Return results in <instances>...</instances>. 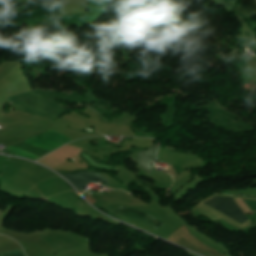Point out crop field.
Wrapping results in <instances>:
<instances>
[{
    "mask_svg": "<svg viewBox=\"0 0 256 256\" xmlns=\"http://www.w3.org/2000/svg\"><path fill=\"white\" fill-rule=\"evenodd\" d=\"M67 180L74 184L78 189H82L88 182H102L107 186V180L104 176L93 172H77L73 174H63ZM99 184V182H98Z\"/></svg>",
    "mask_w": 256,
    "mask_h": 256,
    "instance_id": "4",
    "label": "crop field"
},
{
    "mask_svg": "<svg viewBox=\"0 0 256 256\" xmlns=\"http://www.w3.org/2000/svg\"><path fill=\"white\" fill-rule=\"evenodd\" d=\"M112 212L114 213H118V214H122V215H126L129 217H133L136 219H140L146 223H148L149 225L153 226V227H158L160 226L162 223L158 222L157 220H155L154 218H152L151 216L135 211V210H131V209H127V208H122L119 207L115 210H113Z\"/></svg>",
    "mask_w": 256,
    "mask_h": 256,
    "instance_id": "5",
    "label": "crop field"
},
{
    "mask_svg": "<svg viewBox=\"0 0 256 256\" xmlns=\"http://www.w3.org/2000/svg\"><path fill=\"white\" fill-rule=\"evenodd\" d=\"M204 204L240 224L247 219L233 197H215Z\"/></svg>",
    "mask_w": 256,
    "mask_h": 256,
    "instance_id": "2",
    "label": "crop field"
},
{
    "mask_svg": "<svg viewBox=\"0 0 256 256\" xmlns=\"http://www.w3.org/2000/svg\"><path fill=\"white\" fill-rule=\"evenodd\" d=\"M12 106L16 110L40 116L55 121L64 109L46 101L45 99L29 92L26 94L8 97Z\"/></svg>",
    "mask_w": 256,
    "mask_h": 256,
    "instance_id": "1",
    "label": "crop field"
},
{
    "mask_svg": "<svg viewBox=\"0 0 256 256\" xmlns=\"http://www.w3.org/2000/svg\"><path fill=\"white\" fill-rule=\"evenodd\" d=\"M7 150H9L10 152H12L13 154H15L17 156L25 157V158H28L33 161L39 159V157H37V156H34L32 154H29L27 152H24L22 150L12 147V146H8Z\"/></svg>",
    "mask_w": 256,
    "mask_h": 256,
    "instance_id": "7",
    "label": "crop field"
},
{
    "mask_svg": "<svg viewBox=\"0 0 256 256\" xmlns=\"http://www.w3.org/2000/svg\"><path fill=\"white\" fill-rule=\"evenodd\" d=\"M157 148L152 146L148 150L138 153L139 167L144 171H151V163L155 161Z\"/></svg>",
    "mask_w": 256,
    "mask_h": 256,
    "instance_id": "6",
    "label": "crop field"
},
{
    "mask_svg": "<svg viewBox=\"0 0 256 256\" xmlns=\"http://www.w3.org/2000/svg\"><path fill=\"white\" fill-rule=\"evenodd\" d=\"M0 256H22L18 250L7 252V253H1Z\"/></svg>",
    "mask_w": 256,
    "mask_h": 256,
    "instance_id": "8",
    "label": "crop field"
},
{
    "mask_svg": "<svg viewBox=\"0 0 256 256\" xmlns=\"http://www.w3.org/2000/svg\"><path fill=\"white\" fill-rule=\"evenodd\" d=\"M38 137H42V139H40V140L45 141L47 143H50L52 145H55L57 147H60L61 145L65 144L69 141H72V140L68 139L67 137H65L63 135L55 133V132L50 131V130H48L47 132H45V133H43L39 136H34V138H37V139H38ZM34 138L30 137V138L24 140L23 142L28 143L32 146L41 148L43 150L49 151V152H51V151H53L57 148L55 146L44 143V142L39 141V140L34 139Z\"/></svg>",
    "mask_w": 256,
    "mask_h": 256,
    "instance_id": "3",
    "label": "crop field"
}]
</instances>
